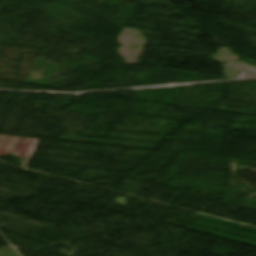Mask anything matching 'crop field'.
Returning <instances> with one entry per match:
<instances>
[{"label": "crop field", "mask_w": 256, "mask_h": 256, "mask_svg": "<svg viewBox=\"0 0 256 256\" xmlns=\"http://www.w3.org/2000/svg\"><path fill=\"white\" fill-rule=\"evenodd\" d=\"M33 140L20 139L17 145L10 152L16 156L26 158Z\"/></svg>", "instance_id": "obj_2"}, {"label": "crop field", "mask_w": 256, "mask_h": 256, "mask_svg": "<svg viewBox=\"0 0 256 256\" xmlns=\"http://www.w3.org/2000/svg\"><path fill=\"white\" fill-rule=\"evenodd\" d=\"M0 137H2V136H0ZM6 138H7V137H2V138H1V140H0V146H1L2 143L5 141ZM17 139H18V138H12V137H10V138L7 140V142L3 145V147H2V149H1V151H0V155H7L8 152H9V151L11 150V148L13 147V145L16 143ZM36 142H37V140H34L32 146H31V148H30L31 151L29 152L27 158L25 159V161H24V163H23V165H24L25 167H27V164H28V162H29V160H30V157H31V154H32V151H33V148H34Z\"/></svg>", "instance_id": "obj_1"}]
</instances>
